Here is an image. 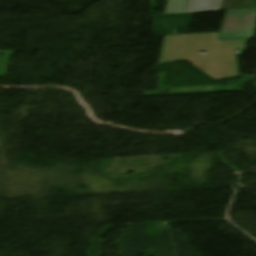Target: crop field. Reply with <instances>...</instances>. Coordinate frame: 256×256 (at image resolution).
Listing matches in <instances>:
<instances>
[{
	"label": "crop field",
	"mask_w": 256,
	"mask_h": 256,
	"mask_svg": "<svg viewBox=\"0 0 256 256\" xmlns=\"http://www.w3.org/2000/svg\"><path fill=\"white\" fill-rule=\"evenodd\" d=\"M219 33L166 36L159 65L187 60L214 79L240 75L235 50L248 40L217 41ZM207 51L206 54H201Z\"/></svg>",
	"instance_id": "1"
},
{
	"label": "crop field",
	"mask_w": 256,
	"mask_h": 256,
	"mask_svg": "<svg viewBox=\"0 0 256 256\" xmlns=\"http://www.w3.org/2000/svg\"><path fill=\"white\" fill-rule=\"evenodd\" d=\"M256 29V9L227 11L221 31Z\"/></svg>",
	"instance_id": "2"
},
{
	"label": "crop field",
	"mask_w": 256,
	"mask_h": 256,
	"mask_svg": "<svg viewBox=\"0 0 256 256\" xmlns=\"http://www.w3.org/2000/svg\"><path fill=\"white\" fill-rule=\"evenodd\" d=\"M221 1L189 0L186 12H184L187 0H169L164 14L219 10Z\"/></svg>",
	"instance_id": "3"
},
{
	"label": "crop field",
	"mask_w": 256,
	"mask_h": 256,
	"mask_svg": "<svg viewBox=\"0 0 256 256\" xmlns=\"http://www.w3.org/2000/svg\"><path fill=\"white\" fill-rule=\"evenodd\" d=\"M255 30L221 32L218 40L251 39Z\"/></svg>",
	"instance_id": "4"
}]
</instances>
